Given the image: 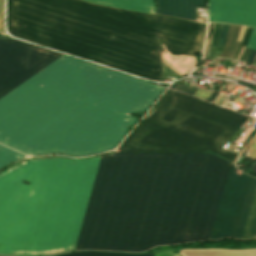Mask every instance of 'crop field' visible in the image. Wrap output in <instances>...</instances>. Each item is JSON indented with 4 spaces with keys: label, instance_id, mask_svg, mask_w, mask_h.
<instances>
[{
    "label": "crop field",
    "instance_id": "crop-field-1",
    "mask_svg": "<svg viewBox=\"0 0 256 256\" xmlns=\"http://www.w3.org/2000/svg\"><path fill=\"white\" fill-rule=\"evenodd\" d=\"M154 254L155 253L132 255V254H120V253L82 252V253L65 255V256H153Z\"/></svg>",
    "mask_w": 256,
    "mask_h": 256
}]
</instances>
